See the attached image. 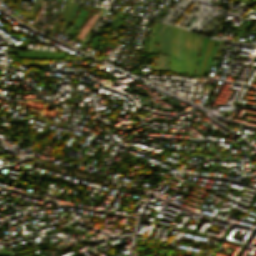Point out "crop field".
<instances>
[{
  "label": "crop field",
  "mask_w": 256,
  "mask_h": 256,
  "mask_svg": "<svg viewBox=\"0 0 256 256\" xmlns=\"http://www.w3.org/2000/svg\"><path fill=\"white\" fill-rule=\"evenodd\" d=\"M11 53L19 54L18 57H29V58H43V59H51V58H63L65 53L59 52H49V51H41V50H33L31 52L17 51V50H9Z\"/></svg>",
  "instance_id": "obj_1"
},
{
  "label": "crop field",
  "mask_w": 256,
  "mask_h": 256,
  "mask_svg": "<svg viewBox=\"0 0 256 256\" xmlns=\"http://www.w3.org/2000/svg\"><path fill=\"white\" fill-rule=\"evenodd\" d=\"M182 31H183V29L180 28L178 40H177V51H178L179 59H180V36H181ZM185 32H186V30H185ZM182 36H183V33H182ZM184 37H185V33H184ZM184 37H183V41H184ZM183 58H184V55H183ZM179 59L170 57V72L180 73V60ZM181 59H182V37H181ZM181 73H183V59L181 61ZM184 73H185V60H184Z\"/></svg>",
  "instance_id": "obj_2"
},
{
  "label": "crop field",
  "mask_w": 256,
  "mask_h": 256,
  "mask_svg": "<svg viewBox=\"0 0 256 256\" xmlns=\"http://www.w3.org/2000/svg\"><path fill=\"white\" fill-rule=\"evenodd\" d=\"M159 25H160V24L157 23L156 30H155L153 53H156V48H157V31H158ZM163 25H164V24H161V26H160V28H159V32H158V49H157V53H159V49H160V43H161V29H162ZM155 43H156V44H155Z\"/></svg>",
  "instance_id": "obj_3"
},
{
  "label": "crop field",
  "mask_w": 256,
  "mask_h": 256,
  "mask_svg": "<svg viewBox=\"0 0 256 256\" xmlns=\"http://www.w3.org/2000/svg\"><path fill=\"white\" fill-rule=\"evenodd\" d=\"M190 32H189V36H188V39H187V57H188V74L190 72V58H191V71H192V65H193V58H192V39H193V36L194 34L192 33L191 34V38H190V58H189V37H190ZM191 74V72H190Z\"/></svg>",
  "instance_id": "obj_4"
},
{
  "label": "crop field",
  "mask_w": 256,
  "mask_h": 256,
  "mask_svg": "<svg viewBox=\"0 0 256 256\" xmlns=\"http://www.w3.org/2000/svg\"><path fill=\"white\" fill-rule=\"evenodd\" d=\"M212 41L213 40H211V39H209V41H208V44H207V47H206V50H205V53H204V58H203V61H202V64H201V68H200V71H199V74L198 75H200V73H201V70H202V67H203V63H204V60H205V57H206V54H207V52H208V50H209V47H210V45H211V43H212ZM215 41V40H214ZM214 41H213V43H214ZM215 43H216V41H215ZM215 43H214V45H215ZM213 45V44H212ZM214 45H213V47H214ZM211 48H212V46H211ZM211 48H210V50H211ZM213 49V48H212ZM210 50H209V52H210ZM212 51V50H211ZM209 52H208V54H209ZM211 53V52H210ZM208 56V55H207ZM209 57V56H208ZM207 61H208V58H207ZM207 61H206V64H207ZM205 64V63H204ZM206 64H205V67H206ZM204 70H205V68H204ZM202 74V73H201Z\"/></svg>",
  "instance_id": "obj_5"
},
{
  "label": "crop field",
  "mask_w": 256,
  "mask_h": 256,
  "mask_svg": "<svg viewBox=\"0 0 256 256\" xmlns=\"http://www.w3.org/2000/svg\"><path fill=\"white\" fill-rule=\"evenodd\" d=\"M75 4H76L75 2H71V5H70V1L68 0L67 8H66V10H65V13H64L63 16H62L63 18H64L65 14H66V12H67V10H68L69 5H70V8H69V11H68L66 17L64 18V20H65V19H66V20L69 19L70 15H71V13H72V11H73V9H74ZM64 20H63V22H64ZM63 22H62V24H63Z\"/></svg>",
  "instance_id": "obj_6"
},
{
  "label": "crop field",
  "mask_w": 256,
  "mask_h": 256,
  "mask_svg": "<svg viewBox=\"0 0 256 256\" xmlns=\"http://www.w3.org/2000/svg\"><path fill=\"white\" fill-rule=\"evenodd\" d=\"M178 30L179 28L176 27V31H175V34H174V56L177 57V51H176V39H177V35H178Z\"/></svg>",
  "instance_id": "obj_7"
},
{
  "label": "crop field",
  "mask_w": 256,
  "mask_h": 256,
  "mask_svg": "<svg viewBox=\"0 0 256 256\" xmlns=\"http://www.w3.org/2000/svg\"><path fill=\"white\" fill-rule=\"evenodd\" d=\"M188 31L186 32L185 42H184V54L186 59V73H187V57H186V39H187Z\"/></svg>",
  "instance_id": "obj_8"
},
{
  "label": "crop field",
  "mask_w": 256,
  "mask_h": 256,
  "mask_svg": "<svg viewBox=\"0 0 256 256\" xmlns=\"http://www.w3.org/2000/svg\"><path fill=\"white\" fill-rule=\"evenodd\" d=\"M154 29H155V24L153 25L152 32H154ZM152 32H151V36H150V37H152ZM151 45H152V38H150V41H149V49H148V52L151 51Z\"/></svg>",
  "instance_id": "obj_9"
},
{
  "label": "crop field",
  "mask_w": 256,
  "mask_h": 256,
  "mask_svg": "<svg viewBox=\"0 0 256 256\" xmlns=\"http://www.w3.org/2000/svg\"><path fill=\"white\" fill-rule=\"evenodd\" d=\"M28 41H29V39H25V40H23L19 45H17V46H19V47H23L24 45H26L27 43H28Z\"/></svg>",
  "instance_id": "obj_10"
},
{
  "label": "crop field",
  "mask_w": 256,
  "mask_h": 256,
  "mask_svg": "<svg viewBox=\"0 0 256 256\" xmlns=\"http://www.w3.org/2000/svg\"><path fill=\"white\" fill-rule=\"evenodd\" d=\"M174 30H175V27H174V29H173L172 39H171V51H172V55H173V34H174Z\"/></svg>",
  "instance_id": "obj_11"
},
{
  "label": "crop field",
  "mask_w": 256,
  "mask_h": 256,
  "mask_svg": "<svg viewBox=\"0 0 256 256\" xmlns=\"http://www.w3.org/2000/svg\"><path fill=\"white\" fill-rule=\"evenodd\" d=\"M201 38H202V36H199V39H198V46H199V44H200ZM202 41H203V40H202ZM201 45H202V44H201ZM200 49H201V47H198L197 54L200 53Z\"/></svg>",
  "instance_id": "obj_12"
},
{
  "label": "crop field",
  "mask_w": 256,
  "mask_h": 256,
  "mask_svg": "<svg viewBox=\"0 0 256 256\" xmlns=\"http://www.w3.org/2000/svg\"><path fill=\"white\" fill-rule=\"evenodd\" d=\"M222 42H223V41H221V42H220V44H219V47H218V49H217V51H216V54H215V56H214L215 58H216V57H217V55H218V51H219V48H220V46H221Z\"/></svg>",
  "instance_id": "obj_13"
},
{
  "label": "crop field",
  "mask_w": 256,
  "mask_h": 256,
  "mask_svg": "<svg viewBox=\"0 0 256 256\" xmlns=\"http://www.w3.org/2000/svg\"><path fill=\"white\" fill-rule=\"evenodd\" d=\"M169 27H170V26H169ZM169 27H168V29H167V35H166V36H168Z\"/></svg>",
  "instance_id": "obj_14"
}]
</instances>
